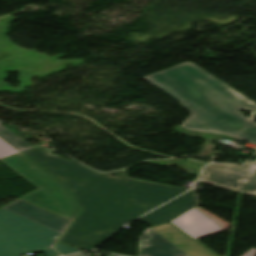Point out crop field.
Returning <instances> with one entry per match:
<instances>
[{
	"label": "crop field",
	"mask_w": 256,
	"mask_h": 256,
	"mask_svg": "<svg viewBox=\"0 0 256 256\" xmlns=\"http://www.w3.org/2000/svg\"><path fill=\"white\" fill-rule=\"evenodd\" d=\"M23 153L54 174L71 191L82 211L60 243L83 250L94 249L125 223L186 191L127 178L125 169L97 174L95 170L40 148Z\"/></svg>",
	"instance_id": "8a807250"
},
{
	"label": "crop field",
	"mask_w": 256,
	"mask_h": 256,
	"mask_svg": "<svg viewBox=\"0 0 256 256\" xmlns=\"http://www.w3.org/2000/svg\"><path fill=\"white\" fill-rule=\"evenodd\" d=\"M190 111L180 127L195 132L226 134L256 143V103L192 62L143 77ZM251 110L246 118L237 110Z\"/></svg>",
	"instance_id": "ac0d7876"
},
{
	"label": "crop field",
	"mask_w": 256,
	"mask_h": 256,
	"mask_svg": "<svg viewBox=\"0 0 256 256\" xmlns=\"http://www.w3.org/2000/svg\"><path fill=\"white\" fill-rule=\"evenodd\" d=\"M1 160L40 188L21 199L73 222L80 210L53 175L21 153Z\"/></svg>",
	"instance_id": "34b2d1b8"
},
{
	"label": "crop field",
	"mask_w": 256,
	"mask_h": 256,
	"mask_svg": "<svg viewBox=\"0 0 256 256\" xmlns=\"http://www.w3.org/2000/svg\"><path fill=\"white\" fill-rule=\"evenodd\" d=\"M60 237L61 234L38 223L0 209V256H19L24 252L59 256L50 247Z\"/></svg>",
	"instance_id": "412701ff"
},
{
	"label": "crop field",
	"mask_w": 256,
	"mask_h": 256,
	"mask_svg": "<svg viewBox=\"0 0 256 256\" xmlns=\"http://www.w3.org/2000/svg\"><path fill=\"white\" fill-rule=\"evenodd\" d=\"M200 181L256 195V161L244 166L209 165L204 168Z\"/></svg>",
	"instance_id": "f4fd0767"
},
{
	"label": "crop field",
	"mask_w": 256,
	"mask_h": 256,
	"mask_svg": "<svg viewBox=\"0 0 256 256\" xmlns=\"http://www.w3.org/2000/svg\"><path fill=\"white\" fill-rule=\"evenodd\" d=\"M199 201L195 191H189L178 197L167 205L153 211L152 213L142 217L149 225L154 226L166 222H170L186 211L199 205Z\"/></svg>",
	"instance_id": "dd49c442"
},
{
	"label": "crop field",
	"mask_w": 256,
	"mask_h": 256,
	"mask_svg": "<svg viewBox=\"0 0 256 256\" xmlns=\"http://www.w3.org/2000/svg\"><path fill=\"white\" fill-rule=\"evenodd\" d=\"M4 208L9 209L21 216L43 224L59 233H63L64 230L70 224V221L56 216L52 213L37 208L22 200H17Z\"/></svg>",
	"instance_id": "e52e79f7"
},
{
	"label": "crop field",
	"mask_w": 256,
	"mask_h": 256,
	"mask_svg": "<svg viewBox=\"0 0 256 256\" xmlns=\"http://www.w3.org/2000/svg\"><path fill=\"white\" fill-rule=\"evenodd\" d=\"M194 239L223 231L195 208L171 221Z\"/></svg>",
	"instance_id": "d8731c3e"
},
{
	"label": "crop field",
	"mask_w": 256,
	"mask_h": 256,
	"mask_svg": "<svg viewBox=\"0 0 256 256\" xmlns=\"http://www.w3.org/2000/svg\"><path fill=\"white\" fill-rule=\"evenodd\" d=\"M137 256H187L152 229L140 237Z\"/></svg>",
	"instance_id": "5a996713"
},
{
	"label": "crop field",
	"mask_w": 256,
	"mask_h": 256,
	"mask_svg": "<svg viewBox=\"0 0 256 256\" xmlns=\"http://www.w3.org/2000/svg\"><path fill=\"white\" fill-rule=\"evenodd\" d=\"M7 129L0 125V137L3 138L5 141L10 143L21 152L33 148L31 145H29Z\"/></svg>",
	"instance_id": "3316defc"
},
{
	"label": "crop field",
	"mask_w": 256,
	"mask_h": 256,
	"mask_svg": "<svg viewBox=\"0 0 256 256\" xmlns=\"http://www.w3.org/2000/svg\"><path fill=\"white\" fill-rule=\"evenodd\" d=\"M19 153L16 149L11 147L9 144L0 139V159Z\"/></svg>",
	"instance_id": "28ad6ade"
},
{
	"label": "crop field",
	"mask_w": 256,
	"mask_h": 256,
	"mask_svg": "<svg viewBox=\"0 0 256 256\" xmlns=\"http://www.w3.org/2000/svg\"><path fill=\"white\" fill-rule=\"evenodd\" d=\"M54 248L57 249L59 252H61L63 255L80 251L79 249L72 248V247L62 245L59 243H57L54 246Z\"/></svg>",
	"instance_id": "d1516ede"
},
{
	"label": "crop field",
	"mask_w": 256,
	"mask_h": 256,
	"mask_svg": "<svg viewBox=\"0 0 256 256\" xmlns=\"http://www.w3.org/2000/svg\"><path fill=\"white\" fill-rule=\"evenodd\" d=\"M183 166L200 170L204 166V164L187 160L183 163Z\"/></svg>",
	"instance_id": "22f410ed"
},
{
	"label": "crop field",
	"mask_w": 256,
	"mask_h": 256,
	"mask_svg": "<svg viewBox=\"0 0 256 256\" xmlns=\"http://www.w3.org/2000/svg\"><path fill=\"white\" fill-rule=\"evenodd\" d=\"M256 255V249L253 248L250 251H248L246 254H244L243 256H255Z\"/></svg>",
	"instance_id": "cbeb9de0"
},
{
	"label": "crop field",
	"mask_w": 256,
	"mask_h": 256,
	"mask_svg": "<svg viewBox=\"0 0 256 256\" xmlns=\"http://www.w3.org/2000/svg\"><path fill=\"white\" fill-rule=\"evenodd\" d=\"M72 256H85L83 253L72 255Z\"/></svg>",
	"instance_id": "5142ce71"
}]
</instances>
